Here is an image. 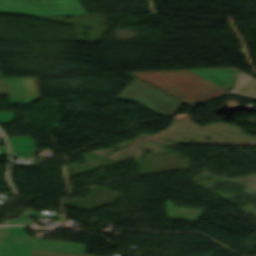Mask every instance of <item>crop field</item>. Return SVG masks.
I'll return each instance as SVG.
<instances>
[{"label": "crop field", "instance_id": "obj_7", "mask_svg": "<svg viewBox=\"0 0 256 256\" xmlns=\"http://www.w3.org/2000/svg\"><path fill=\"white\" fill-rule=\"evenodd\" d=\"M0 95H6L2 79H0Z\"/></svg>", "mask_w": 256, "mask_h": 256}, {"label": "crop field", "instance_id": "obj_2", "mask_svg": "<svg viewBox=\"0 0 256 256\" xmlns=\"http://www.w3.org/2000/svg\"><path fill=\"white\" fill-rule=\"evenodd\" d=\"M0 13L34 16L86 14L77 0H0Z\"/></svg>", "mask_w": 256, "mask_h": 256}, {"label": "crop field", "instance_id": "obj_4", "mask_svg": "<svg viewBox=\"0 0 256 256\" xmlns=\"http://www.w3.org/2000/svg\"><path fill=\"white\" fill-rule=\"evenodd\" d=\"M169 218L197 221L204 210L173 207L172 201H165Z\"/></svg>", "mask_w": 256, "mask_h": 256}, {"label": "crop field", "instance_id": "obj_6", "mask_svg": "<svg viewBox=\"0 0 256 256\" xmlns=\"http://www.w3.org/2000/svg\"><path fill=\"white\" fill-rule=\"evenodd\" d=\"M31 256H91V255H80V254H69V253L32 250Z\"/></svg>", "mask_w": 256, "mask_h": 256}, {"label": "crop field", "instance_id": "obj_3", "mask_svg": "<svg viewBox=\"0 0 256 256\" xmlns=\"http://www.w3.org/2000/svg\"><path fill=\"white\" fill-rule=\"evenodd\" d=\"M123 75L133 80L117 96V99L136 102L160 116L173 115L179 100L127 73H124Z\"/></svg>", "mask_w": 256, "mask_h": 256}, {"label": "crop field", "instance_id": "obj_1", "mask_svg": "<svg viewBox=\"0 0 256 256\" xmlns=\"http://www.w3.org/2000/svg\"><path fill=\"white\" fill-rule=\"evenodd\" d=\"M188 70L131 74L182 100L193 103L226 91Z\"/></svg>", "mask_w": 256, "mask_h": 256}, {"label": "crop field", "instance_id": "obj_9", "mask_svg": "<svg viewBox=\"0 0 256 256\" xmlns=\"http://www.w3.org/2000/svg\"><path fill=\"white\" fill-rule=\"evenodd\" d=\"M0 78H2L1 74H0Z\"/></svg>", "mask_w": 256, "mask_h": 256}, {"label": "crop field", "instance_id": "obj_5", "mask_svg": "<svg viewBox=\"0 0 256 256\" xmlns=\"http://www.w3.org/2000/svg\"><path fill=\"white\" fill-rule=\"evenodd\" d=\"M229 93L256 100V79H249L244 84Z\"/></svg>", "mask_w": 256, "mask_h": 256}, {"label": "crop field", "instance_id": "obj_8", "mask_svg": "<svg viewBox=\"0 0 256 256\" xmlns=\"http://www.w3.org/2000/svg\"><path fill=\"white\" fill-rule=\"evenodd\" d=\"M55 220L56 221H61V215L55 214Z\"/></svg>", "mask_w": 256, "mask_h": 256}]
</instances>
